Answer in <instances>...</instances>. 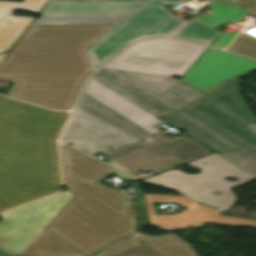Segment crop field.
I'll return each instance as SVG.
<instances>
[{"label":"crop field","instance_id":"obj_6","mask_svg":"<svg viewBox=\"0 0 256 256\" xmlns=\"http://www.w3.org/2000/svg\"><path fill=\"white\" fill-rule=\"evenodd\" d=\"M187 0H147L89 48L95 67H100L128 44L147 37L166 36L184 20L164 8Z\"/></svg>","mask_w":256,"mask_h":256},{"label":"crop field","instance_id":"obj_20","mask_svg":"<svg viewBox=\"0 0 256 256\" xmlns=\"http://www.w3.org/2000/svg\"><path fill=\"white\" fill-rule=\"evenodd\" d=\"M235 165L256 177V159L244 152L218 153Z\"/></svg>","mask_w":256,"mask_h":256},{"label":"crop field","instance_id":"obj_21","mask_svg":"<svg viewBox=\"0 0 256 256\" xmlns=\"http://www.w3.org/2000/svg\"><path fill=\"white\" fill-rule=\"evenodd\" d=\"M26 66V63L5 58L0 64V80L14 83Z\"/></svg>","mask_w":256,"mask_h":256},{"label":"crop field","instance_id":"obj_10","mask_svg":"<svg viewBox=\"0 0 256 256\" xmlns=\"http://www.w3.org/2000/svg\"><path fill=\"white\" fill-rule=\"evenodd\" d=\"M152 139L155 142H140L104 155L130 171L144 165L165 170L213 152L189 137L171 140L160 135Z\"/></svg>","mask_w":256,"mask_h":256},{"label":"crop field","instance_id":"obj_12","mask_svg":"<svg viewBox=\"0 0 256 256\" xmlns=\"http://www.w3.org/2000/svg\"><path fill=\"white\" fill-rule=\"evenodd\" d=\"M178 109L188 105L204 93L168 76L119 71Z\"/></svg>","mask_w":256,"mask_h":256},{"label":"crop field","instance_id":"obj_17","mask_svg":"<svg viewBox=\"0 0 256 256\" xmlns=\"http://www.w3.org/2000/svg\"><path fill=\"white\" fill-rule=\"evenodd\" d=\"M160 118L177 128L186 130L188 135L215 152L240 150L180 111Z\"/></svg>","mask_w":256,"mask_h":256},{"label":"crop field","instance_id":"obj_18","mask_svg":"<svg viewBox=\"0 0 256 256\" xmlns=\"http://www.w3.org/2000/svg\"><path fill=\"white\" fill-rule=\"evenodd\" d=\"M45 229L21 256H85Z\"/></svg>","mask_w":256,"mask_h":256},{"label":"crop field","instance_id":"obj_30","mask_svg":"<svg viewBox=\"0 0 256 256\" xmlns=\"http://www.w3.org/2000/svg\"><path fill=\"white\" fill-rule=\"evenodd\" d=\"M6 53H7V52H4V53L0 54V63H1V61L3 60L4 56L6 55Z\"/></svg>","mask_w":256,"mask_h":256},{"label":"crop field","instance_id":"obj_4","mask_svg":"<svg viewBox=\"0 0 256 256\" xmlns=\"http://www.w3.org/2000/svg\"><path fill=\"white\" fill-rule=\"evenodd\" d=\"M5 98L0 97V173L60 184L55 140L68 113Z\"/></svg>","mask_w":256,"mask_h":256},{"label":"crop field","instance_id":"obj_22","mask_svg":"<svg viewBox=\"0 0 256 256\" xmlns=\"http://www.w3.org/2000/svg\"><path fill=\"white\" fill-rule=\"evenodd\" d=\"M243 0H240L236 6L227 5L221 0H214L208 6L213 10L209 16L225 23L234 12L241 6Z\"/></svg>","mask_w":256,"mask_h":256},{"label":"crop field","instance_id":"obj_7","mask_svg":"<svg viewBox=\"0 0 256 256\" xmlns=\"http://www.w3.org/2000/svg\"><path fill=\"white\" fill-rule=\"evenodd\" d=\"M207 47L170 39L132 45L104 68L181 77Z\"/></svg>","mask_w":256,"mask_h":256},{"label":"crop field","instance_id":"obj_27","mask_svg":"<svg viewBox=\"0 0 256 256\" xmlns=\"http://www.w3.org/2000/svg\"><path fill=\"white\" fill-rule=\"evenodd\" d=\"M239 32H235L233 35L224 32L213 44L212 46L225 48L238 34Z\"/></svg>","mask_w":256,"mask_h":256},{"label":"crop field","instance_id":"obj_19","mask_svg":"<svg viewBox=\"0 0 256 256\" xmlns=\"http://www.w3.org/2000/svg\"><path fill=\"white\" fill-rule=\"evenodd\" d=\"M222 32L192 18L170 37L193 40L210 45Z\"/></svg>","mask_w":256,"mask_h":256},{"label":"crop field","instance_id":"obj_23","mask_svg":"<svg viewBox=\"0 0 256 256\" xmlns=\"http://www.w3.org/2000/svg\"><path fill=\"white\" fill-rule=\"evenodd\" d=\"M228 50L256 58V39L241 34Z\"/></svg>","mask_w":256,"mask_h":256},{"label":"crop field","instance_id":"obj_29","mask_svg":"<svg viewBox=\"0 0 256 256\" xmlns=\"http://www.w3.org/2000/svg\"><path fill=\"white\" fill-rule=\"evenodd\" d=\"M106 163H108V164H110V165H113V166H115V167H117V168H119V169H121V170H123V171H125V172H127V173H129L128 171H126L125 169H123L122 167H120L119 165H117L116 163H114L113 161H108V162H106ZM129 174H131V173H129ZM131 175H133V174H131ZM134 176V175H133Z\"/></svg>","mask_w":256,"mask_h":256},{"label":"crop field","instance_id":"obj_14","mask_svg":"<svg viewBox=\"0 0 256 256\" xmlns=\"http://www.w3.org/2000/svg\"><path fill=\"white\" fill-rule=\"evenodd\" d=\"M58 184L0 174V211L57 192Z\"/></svg>","mask_w":256,"mask_h":256},{"label":"crop field","instance_id":"obj_26","mask_svg":"<svg viewBox=\"0 0 256 256\" xmlns=\"http://www.w3.org/2000/svg\"><path fill=\"white\" fill-rule=\"evenodd\" d=\"M254 6L246 1L243 6L235 13V15L229 20L230 22L241 21Z\"/></svg>","mask_w":256,"mask_h":256},{"label":"crop field","instance_id":"obj_32","mask_svg":"<svg viewBox=\"0 0 256 256\" xmlns=\"http://www.w3.org/2000/svg\"><path fill=\"white\" fill-rule=\"evenodd\" d=\"M248 153H250V154L256 156V151H254V152H248Z\"/></svg>","mask_w":256,"mask_h":256},{"label":"crop field","instance_id":"obj_24","mask_svg":"<svg viewBox=\"0 0 256 256\" xmlns=\"http://www.w3.org/2000/svg\"><path fill=\"white\" fill-rule=\"evenodd\" d=\"M108 256H160L145 244H140L129 249Z\"/></svg>","mask_w":256,"mask_h":256},{"label":"crop field","instance_id":"obj_2","mask_svg":"<svg viewBox=\"0 0 256 256\" xmlns=\"http://www.w3.org/2000/svg\"><path fill=\"white\" fill-rule=\"evenodd\" d=\"M109 27H29L6 56L29 63L6 95L55 110L71 108L93 71L83 49Z\"/></svg>","mask_w":256,"mask_h":256},{"label":"crop field","instance_id":"obj_1","mask_svg":"<svg viewBox=\"0 0 256 256\" xmlns=\"http://www.w3.org/2000/svg\"><path fill=\"white\" fill-rule=\"evenodd\" d=\"M64 186L74 197L46 227L86 256L138 230L130 194L100 182L110 174L132 178L59 142Z\"/></svg>","mask_w":256,"mask_h":256},{"label":"crop field","instance_id":"obj_16","mask_svg":"<svg viewBox=\"0 0 256 256\" xmlns=\"http://www.w3.org/2000/svg\"><path fill=\"white\" fill-rule=\"evenodd\" d=\"M134 237L143 241L147 246L152 248L161 256H197L188 243L173 233L163 236H147L142 232L134 234ZM140 244L133 237L118 240L117 242L107 246L103 251L94 256H105L107 254Z\"/></svg>","mask_w":256,"mask_h":256},{"label":"crop field","instance_id":"obj_8","mask_svg":"<svg viewBox=\"0 0 256 256\" xmlns=\"http://www.w3.org/2000/svg\"><path fill=\"white\" fill-rule=\"evenodd\" d=\"M72 197L67 190L0 214V248L20 256Z\"/></svg>","mask_w":256,"mask_h":256},{"label":"crop field","instance_id":"obj_5","mask_svg":"<svg viewBox=\"0 0 256 256\" xmlns=\"http://www.w3.org/2000/svg\"><path fill=\"white\" fill-rule=\"evenodd\" d=\"M244 150H256V119L239 96L238 80L181 110Z\"/></svg>","mask_w":256,"mask_h":256},{"label":"crop field","instance_id":"obj_25","mask_svg":"<svg viewBox=\"0 0 256 256\" xmlns=\"http://www.w3.org/2000/svg\"><path fill=\"white\" fill-rule=\"evenodd\" d=\"M132 185L138 190V201H139L141 225H148L147 221H146L147 213H146L145 201H144L142 188L138 186L137 182L133 183Z\"/></svg>","mask_w":256,"mask_h":256},{"label":"crop field","instance_id":"obj_13","mask_svg":"<svg viewBox=\"0 0 256 256\" xmlns=\"http://www.w3.org/2000/svg\"><path fill=\"white\" fill-rule=\"evenodd\" d=\"M48 0L0 1V52L9 50L33 20L11 15L15 9L40 13Z\"/></svg>","mask_w":256,"mask_h":256},{"label":"crop field","instance_id":"obj_28","mask_svg":"<svg viewBox=\"0 0 256 256\" xmlns=\"http://www.w3.org/2000/svg\"><path fill=\"white\" fill-rule=\"evenodd\" d=\"M194 18L213 26L214 28L222 24V23H219V22L209 18L208 16L196 15Z\"/></svg>","mask_w":256,"mask_h":256},{"label":"crop field","instance_id":"obj_15","mask_svg":"<svg viewBox=\"0 0 256 256\" xmlns=\"http://www.w3.org/2000/svg\"><path fill=\"white\" fill-rule=\"evenodd\" d=\"M93 77L130 98L157 116L177 111L163 100L115 71L100 70Z\"/></svg>","mask_w":256,"mask_h":256},{"label":"crop field","instance_id":"obj_31","mask_svg":"<svg viewBox=\"0 0 256 256\" xmlns=\"http://www.w3.org/2000/svg\"><path fill=\"white\" fill-rule=\"evenodd\" d=\"M0 256H10V255H8V254H6V253L0 251Z\"/></svg>","mask_w":256,"mask_h":256},{"label":"crop field","instance_id":"obj_11","mask_svg":"<svg viewBox=\"0 0 256 256\" xmlns=\"http://www.w3.org/2000/svg\"><path fill=\"white\" fill-rule=\"evenodd\" d=\"M254 70L255 61L209 48L181 80L207 93Z\"/></svg>","mask_w":256,"mask_h":256},{"label":"crop field","instance_id":"obj_3","mask_svg":"<svg viewBox=\"0 0 256 256\" xmlns=\"http://www.w3.org/2000/svg\"><path fill=\"white\" fill-rule=\"evenodd\" d=\"M165 122L91 77L60 139L96 155L160 134Z\"/></svg>","mask_w":256,"mask_h":256},{"label":"crop field","instance_id":"obj_9","mask_svg":"<svg viewBox=\"0 0 256 256\" xmlns=\"http://www.w3.org/2000/svg\"><path fill=\"white\" fill-rule=\"evenodd\" d=\"M142 1L49 0L31 26L113 25Z\"/></svg>","mask_w":256,"mask_h":256}]
</instances>
